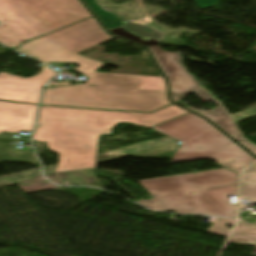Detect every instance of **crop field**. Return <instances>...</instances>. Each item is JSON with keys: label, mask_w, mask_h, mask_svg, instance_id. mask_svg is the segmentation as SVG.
<instances>
[{"label": "crop field", "mask_w": 256, "mask_h": 256, "mask_svg": "<svg viewBox=\"0 0 256 256\" xmlns=\"http://www.w3.org/2000/svg\"><path fill=\"white\" fill-rule=\"evenodd\" d=\"M109 38L92 17L18 48L43 63H76L75 71L89 77L84 84L45 88L42 104L142 112L171 104L167 91L139 89L142 76L94 72L104 63L77 54Z\"/></svg>", "instance_id": "8a807250"}, {"label": "crop field", "mask_w": 256, "mask_h": 256, "mask_svg": "<svg viewBox=\"0 0 256 256\" xmlns=\"http://www.w3.org/2000/svg\"><path fill=\"white\" fill-rule=\"evenodd\" d=\"M186 113L175 105L151 114L41 106L33 140L59 153L55 172L96 168L99 135L118 122L152 127Z\"/></svg>", "instance_id": "ac0d7876"}, {"label": "crop field", "mask_w": 256, "mask_h": 256, "mask_svg": "<svg viewBox=\"0 0 256 256\" xmlns=\"http://www.w3.org/2000/svg\"><path fill=\"white\" fill-rule=\"evenodd\" d=\"M139 182L153 198L138 203L150 210L235 217L204 190L237 184V174L227 169ZM190 192L195 194H187Z\"/></svg>", "instance_id": "34b2d1b8"}, {"label": "crop field", "mask_w": 256, "mask_h": 256, "mask_svg": "<svg viewBox=\"0 0 256 256\" xmlns=\"http://www.w3.org/2000/svg\"><path fill=\"white\" fill-rule=\"evenodd\" d=\"M88 17L78 0H0V42L15 48Z\"/></svg>", "instance_id": "412701ff"}, {"label": "crop field", "mask_w": 256, "mask_h": 256, "mask_svg": "<svg viewBox=\"0 0 256 256\" xmlns=\"http://www.w3.org/2000/svg\"><path fill=\"white\" fill-rule=\"evenodd\" d=\"M182 141L170 164L207 159L235 143L205 119L188 113L152 128Z\"/></svg>", "instance_id": "f4fd0767"}, {"label": "crop field", "mask_w": 256, "mask_h": 256, "mask_svg": "<svg viewBox=\"0 0 256 256\" xmlns=\"http://www.w3.org/2000/svg\"><path fill=\"white\" fill-rule=\"evenodd\" d=\"M155 60L168 78L173 101L176 102L187 93H196L200 98L216 102L204 88L182 66V57L179 52L170 53L161 50L158 46L148 47Z\"/></svg>", "instance_id": "dd49c442"}, {"label": "crop field", "mask_w": 256, "mask_h": 256, "mask_svg": "<svg viewBox=\"0 0 256 256\" xmlns=\"http://www.w3.org/2000/svg\"><path fill=\"white\" fill-rule=\"evenodd\" d=\"M57 75L47 67L39 75L30 78H21L0 73V99L38 104L41 87L50 78Z\"/></svg>", "instance_id": "e52e79f7"}, {"label": "crop field", "mask_w": 256, "mask_h": 256, "mask_svg": "<svg viewBox=\"0 0 256 256\" xmlns=\"http://www.w3.org/2000/svg\"><path fill=\"white\" fill-rule=\"evenodd\" d=\"M38 106L0 102V133L3 131L19 133L32 132Z\"/></svg>", "instance_id": "d8731c3e"}, {"label": "crop field", "mask_w": 256, "mask_h": 256, "mask_svg": "<svg viewBox=\"0 0 256 256\" xmlns=\"http://www.w3.org/2000/svg\"><path fill=\"white\" fill-rule=\"evenodd\" d=\"M210 159L237 173L248 164L256 160L243 149H241L236 143Z\"/></svg>", "instance_id": "5a996713"}, {"label": "crop field", "mask_w": 256, "mask_h": 256, "mask_svg": "<svg viewBox=\"0 0 256 256\" xmlns=\"http://www.w3.org/2000/svg\"><path fill=\"white\" fill-rule=\"evenodd\" d=\"M217 104L218 107L209 112L204 110H194L190 107L188 108L210 119L213 123H215L217 126H219L221 129H223L225 132H227L229 135H231L233 138H235L237 141H239L242 145H244L246 148H248L251 152H253L256 155V147L251 143L243 140L244 138L242 139L241 135L239 134L238 130L230 120L227 113L224 111V109L221 107L219 103Z\"/></svg>", "instance_id": "3316defc"}, {"label": "crop field", "mask_w": 256, "mask_h": 256, "mask_svg": "<svg viewBox=\"0 0 256 256\" xmlns=\"http://www.w3.org/2000/svg\"><path fill=\"white\" fill-rule=\"evenodd\" d=\"M83 1L98 16V18L102 21V23L105 25L107 30L120 27L127 23L119 15L113 12H108L96 0H83Z\"/></svg>", "instance_id": "28ad6ade"}, {"label": "crop field", "mask_w": 256, "mask_h": 256, "mask_svg": "<svg viewBox=\"0 0 256 256\" xmlns=\"http://www.w3.org/2000/svg\"><path fill=\"white\" fill-rule=\"evenodd\" d=\"M241 198L256 202V173L249 168L242 173Z\"/></svg>", "instance_id": "d1516ede"}, {"label": "crop field", "mask_w": 256, "mask_h": 256, "mask_svg": "<svg viewBox=\"0 0 256 256\" xmlns=\"http://www.w3.org/2000/svg\"><path fill=\"white\" fill-rule=\"evenodd\" d=\"M237 217V206L229 204V196L237 195V185L206 190Z\"/></svg>", "instance_id": "22f410ed"}, {"label": "crop field", "mask_w": 256, "mask_h": 256, "mask_svg": "<svg viewBox=\"0 0 256 256\" xmlns=\"http://www.w3.org/2000/svg\"><path fill=\"white\" fill-rule=\"evenodd\" d=\"M231 238L256 243V226L239 221Z\"/></svg>", "instance_id": "cbeb9de0"}, {"label": "crop field", "mask_w": 256, "mask_h": 256, "mask_svg": "<svg viewBox=\"0 0 256 256\" xmlns=\"http://www.w3.org/2000/svg\"><path fill=\"white\" fill-rule=\"evenodd\" d=\"M140 88L166 90V82L164 77L143 76Z\"/></svg>", "instance_id": "5142ce71"}, {"label": "crop field", "mask_w": 256, "mask_h": 256, "mask_svg": "<svg viewBox=\"0 0 256 256\" xmlns=\"http://www.w3.org/2000/svg\"><path fill=\"white\" fill-rule=\"evenodd\" d=\"M234 223H235L234 219L216 218L212 227L209 228L207 231L212 232V233H216V234H221V235L228 236L231 229L227 228L225 226L227 224H234Z\"/></svg>", "instance_id": "d9b57169"}, {"label": "crop field", "mask_w": 256, "mask_h": 256, "mask_svg": "<svg viewBox=\"0 0 256 256\" xmlns=\"http://www.w3.org/2000/svg\"><path fill=\"white\" fill-rule=\"evenodd\" d=\"M195 1L200 8H204L208 6H213L219 0H195Z\"/></svg>", "instance_id": "733c2abd"}, {"label": "crop field", "mask_w": 256, "mask_h": 256, "mask_svg": "<svg viewBox=\"0 0 256 256\" xmlns=\"http://www.w3.org/2000/svg\"><path fill=\"white\" fill-rule=\"evenodd\" d=\"M229 241H231V242H237V243H242V244H247V245H253V246H256V244H255V243L243 242V241L232 240V239H230Z\"/></svg>", "instance_id": "4a817a6b"}, {"label": "crop field", "mask_w": 256, "mask_h": 256, "mask_svg": "<svg viewBox=\"0 0 256 256\" xmlns=\"http://www.w3.org/2000/svg\"><path fill=\"white\" fill-rule=\"evenodd\" d=\"M250 168L256 172V165H254V166H252Z\"/></svg>", "instance_id": "bc2a9ffb"}, {"label": "crop field", "mask_w": 256, "mask_h": 256, "mask_svg": "<svg viewBox=\"0 0 256 256\" xmlns=\"http://www.w3.org/2000/svg\"><path fill=\"white\" fill-rule=\"evenodd\" d=\"M252 255H256V248L254 249Z\"/></svg>", "instance_id": "214f88e0"}, {"label": "crop field", "mask_w": 256, "mask_h": 256, "mask_svg": "<svg viewBox=\"0 0 256 256\" xmlns=\"http://www.w3.org/2000/svg\"><path fill=\"white\" fill-rule=\"evenodd\" d=\"M53 84H63V83H53Z\"/></svg>", "instance_id": "92a150f3"}]
</instances>
